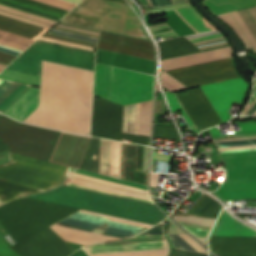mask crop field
<instances>
[{"label": "crop field", "instance_id": "crop-field-1", "mask_svg": "<svg viewBox=\"0 0 256 256\" xmlns=\"http://www.w3.org/2000/svg\"><path fill=\"white\" fill-rule=\"evenodd\" d=\"M93 72L42 61L39 107L24 122L89 135Z\"/></svg>", "mask_w": 256, "mask_h": 256}, {"label": "crop field", "instance_id": "crop-field-2", "mask_svg": "<svg viewBox=\"0 0 256 256\" xmlns=\"http://www.w3.org/2000/svg\"><path fill=\"white\" fill-rule=\"evenodd\" d=\"M27 197L152 225L167 217L153 204L65 185Z\"/></svg>", "mask_w": 256, "mask_h": 256}, {"label": "crop field", "instance_id": "crop-field-3", "mask_svg": "<svg viewBox=\"0 0 256 256\" xmlns=\"http://www.w3.org/2000/svg\"><path fill=\"white\" fill-rule=\"evenodd\" d=\"M152 225L80 210L50 226L65 241L87 245L132 237Z\"/></svg>", "mask_w": 256, "mask_h": 256}, {"label": "crop field", "instance_id": "crop-field-4", "mask_svg": "<svg viewBox=\"0 0 256 256\" xmlns=\"http://www.w3.org/2000/svg\"><path fill=\"white\" fill-rule=\"evenodd\" d=\"M77 210L22 197L0 207V221L18 243Z\"/></svg>", "mask_w": 256, "mask_h": 256}, {"label": "crop field", "instance_id": "crop-field-5", "mask_svg": "<svg viewBox=\"0 0 256 256\" xmlns=\"http://www.w3.org/2000/svg\"><path fill=\"white\" fill-rule=\"evenodd\" d=\"M61 21L148 40L142 25L125 4L84 0Z\"/></svg>", "mask_w": 256, "mask_h": 256}, {"label": "crop field", "instance_id": "crop-field-6", "mask_svg": "<svg viewBox=\"0 0 256 256\" xmlns=\"http://www.w3.org/2000/svg\"><path fill=\"white\" fill-rule=\"evenodd\" d=\"M231 46L191 54L162 61V69H172L201 62L232 56ZM188 87L219 80L236 78L237 72L231 58L201 63L197 65L167 70Z\"/></svg>", "mask_w": 256, "mask_h": 256}, {"label": "crop field", "instance_id": "crop-field-7", "mask_svg": "<svg viewBox=\"0 0 256 256\" xmlns=\"http://www.w3.org/2000/svg\"><path fill=\"white\" fill-rule=\"evenodd\" d=\"M52 30L58 31V32H63V33H68V34H73V35H77V36L97 39V40L100 39V36L103 32L101 30L77 26V25L68 24V23H64V22L59 23ZM52 32H49V34L72 38V39L90 42V43H94V44H97L96 42H98L97 40L83 38V39H87V40L96 41V42H92V41H87V40H83V39H78V38H82V37L74 38L77 36L70 37L73 35L65 36L68 34L61 35L63 33L56 34L58 32H56V33H52ZM49 34H46L45 36L54 38V39L67 41V42L76 43V44L86 45V46H90L93 48H95V46H96L94 44L71 40V39L53 36V35H49ZM96 48L156 61V54H155L153 44H151L150 41L143 40V39L133 38V37H129V36H124V35H119V34L104 31Z\"/></svg>", "mask_w": 256, "mask_h": 256}, {"label": "crop field", "instance_id": "crop-field-8", "mask_svg": "<svg viewBox=\"0 0 256 256\" xmlns=\"http://www.w3.org/2000/svg\"><path fill=\"white\" fill-rule=\"evenodd\" d=\"M60 133L0 116V139L11 152L48 161Z\"/></svg>", "mask_w": 256, "mask_h": 256}, {"label": "crop field", "instance_id": "crop-field-9", "mask_svg": "<svg viewBox=\"0 0 256 256\" xmlns=\"http://www.w3.org/2000/svg\"><path fill=\"white\" fill-rule=\"evenodd\" d=\"M10 162L0 165V177L41 189L60 185L68 166L33 159L9 152Z\"/></svg>", "mask_w": 256, "mask_h": 256}, {"label": "crop field", "instance_id": "crop-field-10", "mask_svg": "<svg viewBox=\"0 0 256 256\" xmlns=\"http://www.w3.org/2000/svg\"><path fill=\"white\" fill-rule=\"evenodd\" d=\"M227 181L213 194L222 201L256 199V151L220 154Z\"/></svg>", "mask_w": 256, "mask_h": 256}, {"label": "crop field", "instance_id": "crop-field-11", "mask_svg": "<svg viewBox=\"0 0 256 256\" xmlns=\"http://www.w3.org/2000/svg\"><path fill=\"white\" fill-rule=\"evenodd\" d=\"M162 225L163 221L127 240L95 244L83 249L89 256H167L169 247Z\"/></svg>", "mask_w": 256, "mask_h": 256}, {"label": "crop field", "instance_id": "crop-field-12", "mask_svg": "<svg viewBox=\"0 0 256 256\" xmlns=\"http://www.w3.org/2000/svg\"><path fill=\"white\" fill-rule=\"evenodd\" d=\"M155 76L112 67L110 101L126 105L153 99Z\"/></svg>", "mask_w": 256, "mask_h": 256}, {"label": "crop field", "instance_id": "crop-field-13", "mask_svg": "<svg viewBox=\"0 0 256 256\" xmlns=\"http://www.w3.org/2000/svg\"><path fill=\"white\" fill-rule=\"evenodd\" d=\"M122 112V105L94 99L91 136L109 139H131V142L148 145L150 137L121 133Z\"/></svg>", "mask_w": 256, "mask_h": 256}, {"label": "crop field", "instance_id": "crop-field-14", "mask_svg": "<svg viewBox=\"0 0 256 256\" xmlns=\"http://www.w3.org/2000/svg\"><path fill=\"white\" fill-rule=\"evenodd\" d=\"M22 56L44 59L93 71L95 53L36 41Z\"/></svg>", "mask_w": 256, "mask_h": 256}, {"label": "crop field", "instance_id": "crop-field-15", "mask_svg": "<svg viewBox=\"0 0 256 256\" xmlns=\"http://www.w3.org/2000/svg\"><path fill=\"white\" fill-rule=\"evenodd\" d=\"M101 139H91L81 169L98 173ZM121 143L102 139L99 173L119 178Z\"/></svg>", "mask_w": 256, "mask_h": 256}, {"label": "crop field", "instance_id": "crop-field-16", "mask_svg": "<svg viewBox=\"0 0 256 256\" xmlns=\"http://www.w3.org/2000/svg\"><path fill=\"white\" fill-rule=\"evenodd\" d=\"M47 28L29 24L23 21L12 19L3 15H0V40L11 43L17 46L26 48L41 34H43ZM0 41V47L9 49L15 52L21 53L24 48L17 47L11 44H7ZM0 48V51L18 56L19 53H15L9 50Z\"/></svg>", "mask_w": 256, "mask_h": 256}, {"label": "crop field", "instance_id": "crop-field-17", "mask_svg": "<svg viewBox=\"0 0 256 256\" xmlns=\"http://www.w3.org/2000/svg\"><path fill=\"white\" fill-rule=\"evenodd\" d=\"M10 248L19 256H68L75 251L49 227Z\"/></svg>", "mask_w": 256, "mask_h": 256}, {"label": "crop field", "instance_id": "crop-field-18", "mask_svg": "<svg viewBox=\"0 0 256 256\" xmlns=\"http://www.w3.org/2000/svg\"><path fill=\"white\" fill-rule=\"evenodd\" d=\"M248 85L241 79L202 86L204 94L222 122L230 120L227 113L233 102L242 103Z\"/></svg>", "mask_w": 256, "mask_h": 256}, {"label": "crop field", "instance_id": "crop-field-19", "mask_svg": "<svg viewBox=\"0 0 256 256\" xmlns=\"http://www.w3.org/2000/svg\"><path fill=\"white\" fill-rule=\"evenodd\" d=\"M0 3L4 4V5H7V6H10V7H14V8L23 10V11H27V12H30V13H33V14H36V15H40V16H43V17H46V18H49V19H53V20H56V21H58L65 14L68 13V11H64V10L54 8V7H51V6H48V5H44V4H41V3H38V2H34V1H31V0H0ZM1 4H0V8H2V9L9 10V11H12V12H15V13H19V14L29 16V17H32V18H35V19H39V20H42V21H45V22H49V23H52V24L56 23V21L49 20V19H46V18H43V17H40V16H36V15L30 14V13H27V12H23V11L14 9V8H10V7L1 5ZM2 9H0V13H2V14L12 16V17H15V18H18V19H21V20H24V21H28V22H31V23H34V24H37V25H40V26H44V27H47V28L52 26V24L45 23V22H42V21H39V20H35V19L25 17V16H22V15H19V14H15V13H12V12H9V11H5V10H2Z\"/></svg>", "mask_w": 256, "mask_h": 256}, {"label": "crop field", "instance_id": "crop-field-20", "mask_svg": "<svg viewBox=\"0 0 256 256\" xmlns=\"http://www.w3.org/2000/svg\"><path fill=\"white\" fill-rule=\"evenodd\" d=\"M185 92L175 93V95L198 130L222 123L200 88L186 90Z\"/></svg>", "mask_w": 256, "mask_h": 256}, {"label": "crop field", "instance_id": "crop-field-21", "mask_svg": "<svg viewBox=\"0 0 256 256\" xmlns=\"http://www.w3.org/2000/svg\"><path fill=\"white\" fill-rule=\"evenodd\" d=\"M152 103L151 101L124 106L122 132L139 134L140 118L142 107V119L140 135L150 136L152 124Z\"/></svg>", "mask_w": 256, "mask_h": 256}, {"label": "crop field", "instance_id": "crop-field-22", "mask_svg": "<svg viewBox=\"0 0 256 256\" xmlns=\"http://www.w3.org/2000/svg\"><path fill=\"white\" fill-rule=\"evenodd\" d=\"M250 11L256 20V7L250 8ZM241 13L256 38V24L251 17L248 9L241 10ZM241 13L239 10H237L217 16L218 18L226 22L235 31V33L242 40L246 48L253 47L254 51H256V40L254 39Z\"/></svg>", "mask_w": 256, "mask_h": 256}, {"label": "crop field", "instance_id": "crop-field-23", "mask_svg": "<svg viewBox=\"0 0 256 256\" xmlns=\"http://www.w3.org/2000/svg\"><path fill=\"white\" fill-rule=\"evenodd\" d=\"M96 62L155 75L156 62L97 49Z\"/></svg>", "mask_w": 256, "mask_h": 256}, {"label": "crop field", "instance_id": "crop-field-24", "mask_svg": "<svg viewBox=\"0 0 256 256\" xmlns=\"http://www.w3.org/2000/svg\"><path fill=\"white\" fill-rule=\"evenodd\" d=\"M213 253L256 254V238L210 237Z\"/></svg>", "mask_w": 256, "mask_h": 256}, {"label": "crop field", "instance_id": "crop-field-25", "mask_svg": "<svg viewBox=\"0 0 256 256\" xmlns=\"http://www.w3.org/2000/svg\"><path fill=\"white\" fill-rule=\"evenodd\" d=\"M39 89L29 87L2 113L16 120L23 121L38 107Z\"/></svg>", "mask_w": 256, "mask_h": 256}, {"label": "crop field", "instance_id": "crop-field-26", "mask_svg": "<svg viewBox=\"0 0 256 256\" xmlns=\"http://www.w3.org/2000/svg\"><path fill=\"white\" fill-rule=\"evenodd\" d=\"M69 176L77 177L80 179L88 180L91 182L103 184V185H108V186H113V187H118V188H123V189H128V190H133V191H138V192H143V193H149L147 186L93 173V172H88V171H82L77 168H70L69 171Z\"/></svg>", "mask_w": 256, "mask_h": 256}, {"label": "crop field", "instance_id": "crop-field-27", "mask_svg": "<svg viewBox=\"0 0 256 256\" xmlns=\"http://www.w3.org/2000/svg\"><path fill=\"white\" fill-rule=\"evenodd\" d=\"M210 236L256 237V231L232 218L223 210Z\"/></svg>", "mask_w": 256, "mask_h": 256}, {"label": "crop field", "instance_id": "crop-field-28", "mask_svg": "<svg viewBox=\"0 0 256 256\" xmlns=\"http://www.w3.org/2000/svg\"><path fill=\"white\" fill-rule=\"evenodd\" d=\"M173 219L206 246L205 239L215 221L214 218L189 215L174 216Z\"/></svg>", "mask_w": 256, "mask_h": 256}, {"label": "crop field", "instance_id": "crop-field-29", "mask_svg": "<svg viewBox=\"0 0 256 256\" xmlns=\"http://www.w3.org/2000/svg\"><path fill=\"white\" fill-rule=\"evenodd\" d=\"M64 184L154 204L151 196H148V195L123 191V190H119V189H115V188H111V187H107V186H103V185H99V184H95V183H91V182H87V181H83V180H79L71 177H67Z\"/></svg>", "mask_w": 256, "mask_h": 256}, {"label": "crop field", "instance_id": "crop-field-30", "mask_svg": "<svg viewBox=\"0 0 256 256\" xmlns=\"http://www.w3.org/2000/svg\"><path fill=\"white\" fill-rule=\"evenodd\" d=\"M157 44L160 49V60L200 51L185 37L164 41Z\"/></svg>", "mask_w": 256, "mask_h": 256}, {"label": "crop field", "instance_id": "crop-field-31", "mask_svg": "<svg viewBox=\"0 0 256 256\" xmlns=\"http://www.w3.org/2000/svg\"><path fill=\"white\" fill-rule=\"evenodd\" d=\"M0 191L6 195L10 200L25 196L32 193H38L45 190L37 189L34 187L26 186L23 184L15 183L12 181L0 178ZM0 192V205L9 201V199Z\"/></svg>", "mask_w": 256, "mask_h": 256}, {"label": "crop field", "instance_id": "crop-field-32", "mask_svg": "<svg viewBox=\"0 0 256 256\" xmlns=\"http://www.w3.org/2000/svg\"><path fill=\"white\" fill-rule=\"evenodd\" d=\"M186 38H188L202 51L229 45L227 39L223 35H221L217 30L187 36Z\"/></svg>", "mask_w": 256, "mask_h": 256}, {"label": "crop field", "instance_id": "crop-field-33", "mask_svg": "<svg viewBox=\"0 0 256 256\" xmlns=\"http://www.w3.org/2000/svg\"><path fill=\"white\" fill-rule=\"evenodd\" d=\"M30 85L0 79V112L13 102Z\"/></svg>", "mask_w": 256, "mask_h": 256}, {"label": "crop field", "instance_id": "crop-field-34", "mask_svg": "<svg viewBox=\"0 0 256 256\" xmlns=\"http://www.w3.org/2000/svg\"><path fill=\"white\" fill-rule=\"evenodd\" d=\"M215 142L220 153L256 150V137H238Z\"/></svg>", "mask_w": 256, "mask_h": 256}, {"label": "crop field", "instance_id": "crop-field-35", "mask_svg": "<svg viewBox=\"0 0 256 256\" xmlns=\"http://www.w3.org/2000/svg\"><path fill=\"white\" fill-rule=\"evenodd\" d=\"M215 15L256 4V0H204L202 2Z\"/></svg>", "mask_w": 256, "mask_h": 256}, {"label": "crop field", "instance_id": "crop-field-36", "mask_svg": "<svg viewBox=\"0 0 256 256\" xmlns=\"http://www.w3.org/2000/svg\"><path fill=\"white\" fill-rule=\"evenodd\" d=\"M222 208L223 206L220 205L217 201L204 194L187 210V213H190L192 215L217 218Z\"/></svg>", "mask_w": 256, "mask_h": 256}, {"label": "crop field", "instance_id": "crop-field-37", "mask_svg": "<svg viewBox=\"0 0 256 256\" xmlns=\"http://www.w3.org/2000/svg\"><path fill=\"white\" fill-rule=\"evenodd\" d=\"M175 11L196 33L214 30V28L204 20L192 6L176 9Z\"/></svg>", "mask_w": 256, "mask_h": 256}, {"label": "crop field", "instance_id": "crop-field-38", "mask_svg": "<svg viewBox=\"0 0 256 256\" xmlns=\"http://www.w3.org/2000/svg\"><path fill=\"white\" fill-rule=\"evenodd\" d=\"M111 66L96 63L94 94L108 98Z\"/></svg>", "mask_w": 256, "mask_h": 256}, {"label": "crop field", "instance_id": "crop-field-39", "mask_svg": "<svg viewBox=\"0 0 256 256\" xmlns=\"http://www.w3.org/2000/svg\"><path fill=\"white\" fill-rule=\"evenodd\" d=\"M174 248L207 253V250L194 241L188 234H168Z\"/></svg>", "mask_w": 256, "mask_h": 256}, {"label": "crop field", "instance_id": "crop-field-40", "mask_svg": "<svg viewBox=\"0 0 256 256\" xmlns=\"http://www.w3.org/2000/svg\"><path fill=\"white\" fill-rule=\"evenodd\" d=\"M41 61L19 56L8 69L40 76Z\"/></svg>", "mask_w": 256, "mask_h": 256}, {"label": "crop field", "instance_id": "crop-field-41", "mask_svg": "<svg viewBox=\"0 0 256 256\" xmlns=\"http://www.w3.org/2000/svg\"><path fill=\"white\" fill-rule=\"evenodd\" d=\"M0 78L19 81V82H23V83L38 85V86L40 83V77H38V76L25 74V73H21V72H16V71L8 70V69H5L0 74Z\"/></svg>", "mask_w": 256, "mask_h": 256}, {"label": "crop field", "instance_id": "crop-field-42", "mask_svg": "<svg viewBox=\"0 0 256 256\" xmlns=\"http://www.w3.org/2000/svg\"><path fill=\"white\" fill-rule=\"evenodd\" d=\"M239 126L241 127V130L234 131L235 133H228V134L220 135V131L216 127L214 129L213 128L210 129L209 131H210L212 138L225 137V136H230V135H256V121L239 123Z\"/></svg>", "mask_w": 256, "mask_h": 256}, {"label": "crop field", "instance_id": "crop-field-43", "mask_svg": "<svg viewBox=\"0 0 256 256\" xmlns=\"http://www.w3.org/2000/svg\"><path fill=\"white\" fill-rule=\"evenodd\" d=\"M165 96L167 98L168 104L170 106V109L172 112L174 111H178L181 110L186 122L189 124V126L191 127V129L194 132H198V130L196 129V127L194 126V124L192 123L191 119L189 118V116L187 115V113L185 112V110L183 109V107L181 106V104L179 103L178 99L176 98V96L174 95V93L165 91Z\"/></svg>", "mask_w": 256, "mask_h": 256}, {"label": "crop field", "instance_id": "crop-field-44", "mask_svg": "<svg viewBox=\"0 0 256 256\" xmlns=\"http://www.w3.org/2000/svg\"><path fill=\"white\" fill-rule=\"evenodd\" d=\"M153 38L166 36L167 38L178 36V34L167 24H159L148 27Z\"/></svg>", "mask_w": 256, "mask_h": 256}, {"label": "crop field", "instance_id": "crop-field-45", "mask_svg": "<svg viewBox=\"0 0 256 256\" xmlns=\"http://www.w3.org/2000/svg\"><path fill=\"white\" fill-rule=\"evenodd\" d=\"M154 136L180 140L175 126L154 125Z\"/></svg>", "mask_w": 256, "mask_h": 256}, {"label": "crop field", "instance_id": "crop-field-46", "mask_svg": "<svg viewBox=\"0 0 256 256\" xmlns=\"http://www.w3.org/2000/svg\"><path fill=\"white\" fill-rule=\"evenodd\" d=\"M162 86L168 90L175 91L180 89H185L182 84H180L177 80L171 77L169 74L165 73L164 71L160 75Z\"/></svg>", "mask_w": 256, "mask_h": 256}, {"label": "crop field", "instance_id": "crop-field-47", "mask_svg": "<svg viewBox=\"0 0 256 256\" xmlns=\"http://www.w3.org/2000/svg\"><path fill=\"white\" fill-rule=\"evenodd\" d=\"M255 110H256V79H254V90L252 92L250 102L248 103L247 107L243 110L241 115H252ZM253 115L256 116V111L254 112Z\"/></svg>", "mask_w": 256, "mask_h": 256}, {"label": "crop field", "instance_id": "crop-field-48", "mask_svg": "<svg viewBox=\"0 0 256 256\" xmlns=\"http://www.w3.org/2000/svg\"><path fill=\"white\" fill-rule=\"evenodd\" d=\"M36 1L48 4V5H51V6H55V7L61 8V9H65V10H68V11H70L76 5V4L72 5L74 3L69 4L71 2L65 3V2H68V1L62 2L64 0H62V1H59V0H36Z\"/></svg>", "mask_w": 256, "mask_h": 256}, {"label": "crop field", "instance_id": "crop-field-49", "mask_svg": "<svg viewBox=\"0 0 256 256\" xmlns=\"http://www.w3.org/2000/svg\"><path fill=\"white\" fill-rule=\"evenodd\" d=\"M38 40L39 41H44V42H49V43H54V44H59V45H64V46H68V47H73V48H78V49L92 51V48H89V47L80 46V45H76V44H72V43H67V42H62V41L53 40V39H48V38H44V37H41Z\"/></svg>", "mask_w": 256, "mask_h": 256}, {"label": "crop field", "instance_id": "crop-field-50", "mask_svg": "<svg viewBox=\"0 0 256 256\" xmlns=\"http://www.w3.org/2000/svg\"><path fill=\"white\" fill-rule=\"evenodd\" d=\"M14 58H16V56L0 52V62L9 64ZM4 63H0V71L7 66V64Z\"/></svg>", "mask_w": 256, "mask_h": 256}, {"label": "crop field", "instance_id": "crop-field-51", "mask_svg": "<svg viewBox=\"0 0 256 256\" xmlns=\"http://www.w3.org/2000/svg\"><path fill=\"white\" fill-rule=\"evenodd\" d=\"M189 5H190V4H189L188 2L180 3V4H176V5H171V7H168V8H163V9L148 11V12H146V14L149 15V14L164 12V11H168V10H172V9H176V8H180V7H185V6H189Z\"/></svg>", "mask_w": 256, "mask_h": 256}, {"label": "crop field", "instance_id": "crop-field-52", "mask_svg": "<svg viewBox=\"0 0 256 256\" xmlns=\"http://www.w3.org/2000/svg\"><path fill=\"white\" fill-rule=\"evenodd\" d=\"M172 256H207V254L173 250Z\"/></svg>", "mask_w": 256, "mask_h": 256}, {"label": "crop field", "instance_id": "crop-field-53", "mask_svg": "<svg viewBox=\"0 0 256 256\" xmlns=\"http://www.w3.org/2000/svg\"><path fill=\"white\" fill-rule=\"evenodd\" d=\"M187 0H151L153 6H164L176 2H182Z\"/></svg>", "mask_w": 256, "mask_h": 256}, {"label": "crop field", "instance_id": "crop-field-54", "mask_svg": "<svg viewBox=\"0 0 256 256\" xmlns=\"http://www.w3.org/2000/svg\"><path fill=\"white\" fill-rule=\"evenodd\" d=\"M143 146L138 145V169L142 170Z\"/></svg>", "mask_w": 256, "mask_h": 256}, {"label": "crop field", "instance_id": "crop-field-55", "mask_svg": "<svg viewBox=\"0 0 256 256\" xmlns=\"http://www.w3.org/2000/svg\"><path fill=\"white\" fill-rule=\"evenodd\" d=\"M159 175L160 174L150 173V186H157Z\"/></svg>", "mask_w": 256, "mask_h": 256}, {"label": "crop field", "instance_id": "crop-field-56", "mask_svg": "<svg viewBox=\"0 0 256 256\" xmlns=\"http://www.w3.org/2000/svg\"><path fill=\"white\" fill-rule=\"evenodd\" d=\"M217 256H256V255H245V254H216Z\"/></svg>", "mask_w": 256, "mask_h": 256}, {"label": "crop field", "instance_id": "crop-field-57", "mask_svg": "<svg viewBox=\"0 0 256 256\" xmlns=\"http://www.w3.org/2000/svg\"><path fill=\"white\" fill-rule=\"evenodd\" d=\"M71 256H87L84 251L81 249L79 251H77L76 253H74L73 255Z\"/></svg>", "mask_w": 256, "mask_h": 256}, {"label": "crop field", "instance_id": "crop-field-58", "mask_svg": "<svg viewBox=\"0 0 256 256\" xmlns=\"http://www.w3.org/2000/svg\"><path fill=\"white\" fill-rule=\"evenodd\" d=\"M7 150H8L7 146L2 144V143H0V152L7 151Z\"/></svg>", "mask_w": 256, "mask_h": 256}, {"label": "crop field", "instance_id": "crop-field-59", "mask_svg": "<svg viewBox=\"0 0 256 256\" xmlns=\"http://www.w3.org/2000/svg\"><path fill=\"white\" fill-rule=\"evenodd\" d=\"M157 160H153L152 171L154 172Z\"/></svg>", "mask_w": 256, "mask_h": 256}, {"label": "crop field", "instance_id": "crop-field-60", "mask_svg": "<svg viewBox=\"0 0 256 256\" xmlns=\"http://www.w3.org/2000/svg\"><path fill=\"white\" fill-rule=\"evenodd\" d=\"M68 1H72V2H75V3H79L81 0H68Z\"/></svg>", "mask_w": 256, "mask_h": 256}, {"label": "crop field", "instance_id": "crop-field-61", "mask_svg": "<svg viewBox=\"0 0 256 256\" xmlns=\"http://www.w3.org/2000/svg\"><path fill=\"white\" fill-rule=\"evenodd\" d=\"M210 256H212V255L210 254Z\"/></svg>", "mask_w": 256, "mask_h": 256}]
</instances>
